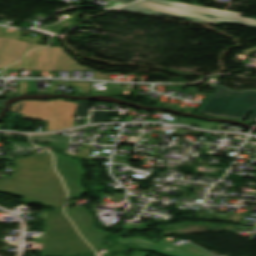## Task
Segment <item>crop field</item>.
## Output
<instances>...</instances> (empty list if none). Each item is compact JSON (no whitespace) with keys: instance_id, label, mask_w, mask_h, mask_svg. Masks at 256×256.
<instances>
[{"instance_id":"17","label":"crop field","mask_w":256,"mask_h":256,"mask_svg":"<svg viewBox=\"0 0 256 256\" xmlns=\"http://www.w3.org/2000/svg\"><path fill=\"white\" fill-rule=\"evenodd\" d=\"M254 51H256V47H253V48H251V49H248V50H245V51H243V52H241V53H244V54H246V55H250L252 52H254Z\"/></svg>"},{"instance_id":"8","label":"crop field","mask_w":256,"mask_h":256,"mask_svg":"<svg viewBox=\"0 0 256 256\" xmlns=\"http://www.w3.org/2000/svg\"><path fill=\"white\" fill-rule=\"evenodd\" d=\"M65 212L93 248L104 244L101 238L108 233L93 228V219L84 207L65 209Z\"/></svg>"},{"instance_id":"10","label":"crop field","mask_w":256,"mask_h":256,"mask_svg":"<svg viewBox=\"0 0 256 256\" xmlns=\"http://www.w3.org/2000/svg\"><path fill=\"white\" fill-rule=\"evenodd\" d=\"M118 242L120 243H133L139 247H142L146 250H149L151 252H155L158 254L166 255V256H195L189 253H186L182 250H177V249H171V248H166L162 247L158 244L152 243L146 238L143 237H135V238H122V237H117ZM123 240V241H121Z\"/></svg>"},{"instance_id":"15","label":"crop field","mask_w":256,"mask_h":256,"mask_svg":"<svg viewBox=\"0 0 256 256\" xmlns=\"http://www.w3.org/2000/svg\"><path fill=\"white\" fill-rule=\"evenodd\" d=\"M89 105H90V103L88 101L87 102H79L78 105H77L76 112L88 116L89 109H87V108H88Z\"/></svg>"},{"instance_id":"16","label":"crop field","mask_w":256,"mask_h":256,"mask_svg":"<svg viewBox=\"0 0 256 256\" xmlns=\"http://www.w3.org/2000/svg\"><path fill=\"white\" fill-rule=\"evenodd\" d=\"M148 253L146 252H140V251H135L131 256H147Z\"/></svg>"},{"instance_id":"13","label":"crop field","mask_w":256,"mask_h":256,"mask_svg":"<svg viewBox=\"0 0 256 256\" xmlns=\"http://www.w3.org/2000/svg\"><path fill=\"white\" fill-rule=\"evenodd\" d=\"M109 115L108 111H92L90 122L108 121Z\"/></svg>"},{"instance_id":"1","label":"crop field","mask_w":256,"mask_h":256,"mask_svg":"<svg viewBox=\"0 0 256 256\" xmlns=\"http://www.w3.org/2000/svg\"><path fill=\"white\" fill-rule=\"evenodd\" d=\"M0 192L23 196L22 200L63 208L66 193L52 167L49 153L14 160L10 179H0Z\"/></svg>"},{"instance_id":"3","label":"crop field","mask_w":256,"mask_h":256,"mask_svg":"<svg viewBox=\"0 0 256 256\" xmlns=\"http://www.w3.org/2000/svg\"><path fill=\"white\" fill-rule=\"evenodd\" d=\"M91 249L61 211L47 212L42 256L89 253Z\"/></svg>"},{"instance_id":"7","label":"crop field","mask_w":256,"mask_h":256,"mask_svg":"<svg viewBox=\"0 0 256 256\" xmlns=\"http://www.w3.org/2000/svg\"><path fill=\"white\" fill-rule=\"evenodd\" d=\"M61 47L50 46L45 49H38L29 52L21 62L5 69V77L8 69H25V70H52L54 71L57 58Z\"/></svg>"},{"instance_id":"19","label":"crop field","mask_w":256,"mask_h":256,"mask_svg":"<svg viewBox=\"0 0 256 256\" xmlns=\"http://www.w3.org/2000/svg\"><path fill=\"white\" fill-rule=\"evenodd\" d=\"M115 1H121V2L131 3V2L136 1V0H115Z\"/></svg>"},{"instance_id":"2","label":"crop field","mask_w":256,"mask_h":256,"mask_svg":"<svg viewBox=\"0 0 256 256\" xmlns=\"http://www.w3.org/2000/svg\"><path fill=\"white\" fill-rule=\"evenodd\" d=\"M122 9L210 24L237 23L256 27V19L241 17L242 13L167 0H143Z\"/></svg>"},{"instance_id":"12","label":"crop field","mask_w":256,"mask_h":256,"mask_svg":"<svg viewBox=\"0 0 256 256\" xmlns=\"http://www.w3.org/2000/svg\"><path fill=\"white\" fill-rule=\"evenodd\" d=\"M82 69H87V68L78 65L68 55H66L61 48L55 70H82Z\"/></svg>"},{"instance_id":"20","label":"crop field","mask_w":256,"mask_h":256,"mask_svg":"<svg viewBox=\"0 0 256 256\" xmlns=\"http://www.w3.org/2000/svg\"><path fill=\"white\" fill-rule=\"evenodd\" d=\"M0 159H11V158L0 157Z\"/></svg>"},{"instance_id":"14","label":"crop field","mask_w":256,"mask_h":256,"mask_svg":"<svg viewBox=\"0 0 256 256\" xmlns=\"http://www.w3.org/2000/svg\"><path fill=\"white\" fill-rule=\"evenodd\" d=\"M7 143L14 144L16 150L10 151V153H11L14 157H16V156H21V155H28V154L33 150V147H32V146L23 147V146L17 145V144L12 143V142H7Z\"/></svg>"},{"instance_id":"6","label":"crop field","mask_w":256,"mask_h":256,"mask_svg":"<svg viewBox=\"0 0 256 256\" xmlns=\"http://www.w3.org/2000/svg\"><path fill=\"white\" fill-rule=\"evenodd\" d=\"M55 155V166L59 175L63 178L68 189V199L80 198L88 190L81 187L79 180L83 177L84 171L81 165L68 157L61 156L52 151Z\"/></svg>"},{"instance_id":"5","label":"crop field","mask_w":256,"mask_h":256,"mask_svg":"<svg viewBox=\"0 0 256 256\" xmlns=\"http://www.w3.org/2000/svg\"><path fill=\"white\" fill-rule=\"evenodd\" d=\"M76 103L54 101L19 102L11 111L23 115L26 119L48 120L47 131L69 128L72 125Z\"/></svg>"},{"instance_id":"18","label":"crop field","mask_w":256,"mask_h":256,"mask_svg":"<svg viewBox=\"0 0 256 256\" xmlns=\"http://www.w3.org/2000/svg\"><path fill=\"white\" fill-rule=\"evenodd\" d=\"M252 119L256 120V114L255 113L251 114V116L248 118L247 122H251Z\"/></svg>"},{"instance_id":"11","label":"crop field","mask_w":256,"mask_h":256,"mask_svg":"<svg viewBox=\"0 0 256 256\" xmlns=\"http://www.w3.org/2000/svg\"><path fill=\"white\" fill-rule=\"evenodd\" d=\"M32 142H45L49 141L52 145L57 146L62 149H66L67 141L70 136L64 135H44V136H30ZM55 143V144H53Z\"/></svg>"},{"instance_id":"9","label":"crop field","mask_w":256,"mask_h":256,"mask_svg":"<svg viewBox=\"0 0 256 256\" xmlns=\"http://www.w3.org/2000/svg\"><path fill=\"white\" fill-rule=\"evenodd\" d=\"M43 45L0 37V69L18 60L27 50Z\"/></svg>"},{"instance_id":"4","label":"crop field","mask_w":256,"mask_h":256,"mask_svg":"<svg viewBox=\"0 0 256 256\" xmlns=\"http://www.w3.org/2000/svg\"><path fill=\"white\" fill-rule=\"evenodd\" d=\"M216 87L198 113L244 120L256 106V90L232 91L222 85Z\"/></svg>"}]
</instances>
